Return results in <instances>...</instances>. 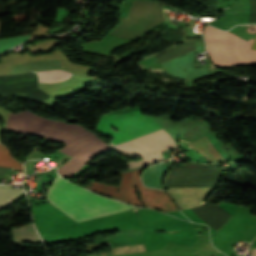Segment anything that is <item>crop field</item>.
Masks as SVG:
<instances>
[{
  "label": "crop field",
  "instance_id": "8a807250",
  "mask_svg": "<svg viewBox=\"0 0 256 256\" xmlns=\"http://www.w3.org/2000/svg\"><path fill=\"white\" fill-rule=\"evenodd\" d=\"M110 126L117 128L118 131ZM96 130L116 138L111 142V146L114 148L162 129L149 118L143 116L140 112V108H133L104 115ZM170 137L171 136L162 130L114 149L124 154ZM169 148H177L175 141L172 138L124 155L143 157V160L141 161L126 162L129 169H132L150 165L165 159L162 157L161 152Z\"/></svg>",
  "mask_w": 256,
  "mask_h": 256
},
{
  "label": "crop field",
  "instance_id": "ac0d7876",
  "mask_svg": "<svg viewBox=\"0 0 256 256\" xmlns=\"http://www.w3.org/2000/svg\"><path fill=\"white\" fill-rule=\"evenodd\" d=\"M49 120L39 117L28 110L16 115L11 112L5 128L41 136ZM42 134L48 139L67 143L59 151L74 158L59 168V173L68 178L95 156L111 149L99 137L77 124H66L62 121L50 120Z\"/></svg>",
  "mask_w": 256,
  "mask_h": 256
},
{
  "label": "crop field",
  "instance_id": "34b2d1b8",
  "mask_svg": "<svg viewBox=\"0 0 256 256\" xmlns=\"http://www.w3.org/2000/svg\"><path fill=\"white\" fill-rule=\"evenodd\" d=\"M46 197L77 222L135 208L132 205L96 195L57 175L48 188Z\"/></svg>",
  "mask_w": 256,
  "mask_h": 256
},
{
  "label": "crop field",
  "instance_id": "412701ff",
  "mask_svg": "<svg viewBox=\"0 0 256 256\" xmlns=\"http://www.w3.org/2000/svg\"><path fill=\"white\" fill-rule=\"evenodd\" d=\"M219 177L218 165L173 167L167 186H213ZM180 210L202 206L200 201L210 187H167ZM212 188V187H211Z\"/></svg>",
  "mask_w": 256,
  "mask_h": 256
},
{
  "label": "crop field",
  "instance_id": "f4fd0767",
  "mask_svg": "<svg viewBox=\"0 0 256 256\" xmlns=\"http://www.w3.org/2000/svg\"><path fill=\"white\" fill-rule=\"evenodd\" d=\"M142 169L121 173L119 187L103 185L93 181H91L87 187L95 192L130 204L142 205L136 196V190L134 188L136 187L141 194L142 202L145 206L159 208L165 212L177 211L171 199L163 191L143 187L139 179V174ZM117 188H119V192H117Z\"/></svg>",
  "mask_w": 256,
  "mask_h": 256
},
{
  "label": "crop field",
  "instance_id": "dd49c442",
  "mask_svg": "<svg viewBox=\"0 0 256 256\" xmlns=\"http://www.w3.org/2000/svg\"><path fill=\"white\" fill-rule=\"evenodd\" d=\"M207 52L216 66L256 63L254 40L249 42L209 25L204 28ZM256 50V39H255Z\"/></svg>",
  "mask_w": 256,
  "mask_h": 256
},
{
  "label": "crop field",
  "instance_id": "e52e79f7",
  "mask_svg": "<svg viewBox=\"0 0 256 256\" xmlns=\"http://www.w3.org/2000/svg\"><path fill=\"white\" fill-rule=\"evenodd\" d=\"M0 95H23L43 102L51 97L39 89L35 73L0 76Z\"/></svg>",
  "mask_w": 256,
  "mask_h": 256
},
{
  "label": "crop field",
  "instance_id": "d8731c3e",
  "mask_svg": "<svg viewBox=\"0 0 256 256\" xmlns=\"http://www.w3.org/2000/svg\"><path fill=\"white\" fill-rule=\"evenodd\" d=\"M188 146L196 149L211 163L225 161L206 136L189 144Z\"/></svg>",
  "mask_w": 256,
  "mask_h": 256
},
{
  "label": "crop field",
  "instance_id": "5a996713",
  "mask_svg": "<svg viewBox=\"0 0 256 256\" xmlns=\"http://www.w3.org/2000/svg\"><path fill=\"white\" fill-rule=\"evenodd\" d=\"M167 164H158L147 169L143 175L142 179L146 186L164 189L162 186V180L166 173Z\"/></svg>",
  "mask_w": 256,
  "mask_h": 256
},
{
  "label": "crop field",
  "instance_id": "3316defc",
  "mask_svg": "<svg viewBox=\"0 0 256 256\" xmlns=\"http://www.w3.org/2000/svg\"><path fill=\"white\" fill-rule=\"evenodd\" d=\"M0 166L22 169L20 162L13 160L7 148L0 144ZM10 168L0 167V178H7Z\"/></svg>",
  "mask_w": 256,
  "mask_h": 256
},
{
  "label": "crop field",
  "instance_id": "28ad6ade",
  "mask_svg": "<svg viewBox=\"0 0 256 256\" xmlns=\"http://www.w3.org/2000/svg\"><path fill=\"white\" fill-rule=\"evenodd\" d=\"M37 73L39 75V80L46 83H57L64 81L68 79L72 74L71 72H67L64 70H52Z\"/></svg>",
  "mask_w": 256,
  "mask_h": 256
},
{
  "label": "crop field",
  "instance_id": "d1516ede",
  "mask_svg": "<svg viewBox=\"0 0 256 256\" xmlns=\"http://www.w3.org/2000/svg\"><path fill=\"white\" fill-rule=\"evenodd\" d=\"M196 49L195 42H187L183 45H180L178 47L172 48L170 50H167L165 52L160 53L162 58L167 61L172 58L178 57L180 55H183L185 53H188L190 51H193Z\"/></svg>",
  "mask_w": 256,
  "mask_h": 256
},
{
  "label": "crop field",
  "instance_id": "22f410ed",
  "mask_svg": "<svg viewBox=\"0 0 256 256\" xmlns=\"http://www.w3.org/2000/svg\"><path fill=\"white\" fill-rule=\"evenodd\" d=\"M23 189H10V186H0V207L14 200Z\"/></svg>",
  "mask_w": 256,
  "mask_h": 256
},
{
  "label": "crop field",
  "instance_id": "cbeb9de0",
  "mask_svg": "<svg viewBox=\"0 0 256 256\" xmlns=\"http://www.w3.org/2000/svg\"><path fill=\"white\" fill-rule=\"evenodd\" d=\"M249 22H256V0H250Z\"/></svg>",
  "mask_w": 256,
  "mask_h": 256
},
{
  "label": "crop field",
  "instance_id": "5142ce71",
  "mask_svg": "<svg viewBox=\"0 0 256 256\" xmlns=\"http://www.w3.org/2000/svg\"><path fill=\"white\" fill-rule=\"evenodd\" d=\"M251 254H253V256H256V248H253Z\"/></svg>",
  "mask_w": 256,
  "mask_h": 256
}]
</instances>
